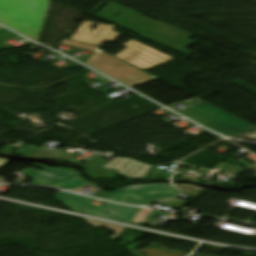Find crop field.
<instances>
[{
    "label": "crop field",
    "mask_w": 256,
    "mask_h": 256,
    "mask_svg": "<svg viewBox=\"0 0 256 256\" xmlns=\"http://www.w3.org/2000/svg\"><path fill=\"white\" fill-rule=\"evenodd\" d=\"M49 0H0V23L38 41Z\"/></svg>",
    "instance_id": "1"
},
{
    "label": "crop field",
    "mask_w": 256,
    "mask_h": 256,
    "mask_svg": "<svg viewBox=\"0 0 256 256\" xmlns=\"http://www.w3.org/2000/svg\"><path fill=\"white\" fill-rule=\"evenodd\" d=\"M61 43L94 52L85 62L87 65L130 87L159 80L146 72L98 50L100 48L99 46L66 39H62Z\"/></svg>",
    "instance_id": "2"
},
{
    "label": "crop field",
    "mask_w": 256,
    "mask_h": 256,
    "mask_svg": "<svg viewBox=\"0 0 256 256\" xmlns=\"http://www.w3.org/2000/svg\"><path fill=\"white\" fill-rule=\"evenodd\" d=\"M177 112L227 137L256 130V127L208 103Z\"/></svg>",
    "instance_id": "3"
},
{
    "label": "crop field",
    "mask_w": 256,
    "mask_h": 256,
    "mask_svg": "<svg viewBox=\"0 0 256 256\" xmlns=\"http://www.w3.org/2000/svg\"><path fill=\"white\" fill-rule=\"evenodd\" d=\"M179 195V191L167 183L132 185L110 195L108 199L127 204L144 205Z\"/></svg>",
    "instance_id": "4"
},
{
    "label": "crop field",
    "mask_w": 256,
    "mask_h": 256,
    "mask_svg": "<svg viewBox=\"0 0 256 256\" xmlns=\"http://www.w3.org/2000/svg\"><path fill=\"white\" fill-rule=\"evenodd\" d=\"M122 46H125L127 48L114 56L140 69H146L161 65L174 59L158 50L141 44L133 39L124 43Z\"/></svg>",
    "instance_id": "5"
},
{
    "label": "crop field",
    "mask_w": 256,
    "mask_h": 256,
    "mask_svg": "<svg viewBox=\"0 0 256 256\" xmlns=\"http://www.w3.org/2000/svg\"><path fill=\"white\" fill-rule=\"evenodd\" d=\"M35 166L43 169L42 171L34 168H27L21 173L27 174L28 178L33 179L29 184H42L57 187L65 182L80 177V174L71 168H51L38 163Z\"/></svg>",
    "instance_id": "6"
},
{
    "label": "crop field",
    "mask_w": 256,
    "mask_h": 256,
    "mask_svg": "<svg viewBox=\"0 0 256 256\" xmlns=\"http://www.w3.org/2000/svg\"><path fill=\"white\" fill-rule=\"evenodd\" d=\"M97 23L84 21L71 39L102 46L105 41L115 42L120 33L114 30L115 26L98 24L96 29L90 32V28Z\"/></svg>",
    "instance_id": "7"
},
{
    "label": "crop field",
    "mask_w": 256,
    "mask_h": 256,
    "mask_svg": "<svg viewBox=\"0 0 256 256\" xmlns=\"http://www.w3.org/2000/svg\"><path fill=\"white\" fill-rule=\"evenodd\" d=\"M55 198L58 201H60L62 204H64L66 207H68L70 210H72L73 212L86 213V214L122 222L105 213L104 207L90 204L93 201V199H89V198H85V197H81L73 194L63 193V192L58 193L55 196Z\"/></svg>",
    "instance_id": "8"
},
{
    "label": "crop field",
    "mask_w": 256,
    "mask_h": 256,
    "mask_svg": "<svg viewBox=\"0 0 256 256\" xmlns=\"http://www.w3.org/2000/svg\"><path fill=\"white\" fill-rule=\"evenodd\" d=\"M151 165L143 164L129 158L114 157L103 168L117 169V174H123L131 180L143 179L151 169Z\"/></svg>",
    "instance_id": "9"
},
{
    "label": "crop field",
    "mask_w": 256,
    "mask_h": 256,
    "mask_svg": "<svg viewBox=\"0 0 256 256\" xmlns=\"http://www.w3.org/2000/svg\"><path fill=\"white\" fill-rule=\"evenodd\" d=\"M106 207L108 214L124 221L127 224H130L142 210L140 208L125 207L109 203H106Z\"/></svg>",
    "instance_id": "10"
},
{
    "label": "crop field",
    "mask_w": 256,
    "mask_h": 256,
    "mask_svg": "<svg viewBox=\"0 0 256 256\" xmlns=\"http://www.w3.org/2000/svg\"><path fill=\"white\" fill-rule=\"evenodd\" d=\"M85 220L96 228L103 226V227L109 229L111 232H113L114 234L109 237L111 240L117 239L122 234V232L126 229L125 227L107 224V223H103V222H98V221H94V220H89V219H85Z\"/></svg>",
    "instance_id": "11"
},
{
    "label": "crop field",
    "mask_w": 256,
    "mask_h": 256,
    "mask_svg": "<svg viewBox=\"0 0 256 256\" xmlns=\"http://www.w3.org/2000/svg\"><path fill=\"white\" fill-rule=\"evenodd\" d=\"M85 184H88V182H86L82 177H80V178H77L73 181H70V182L60 186L59 188H64V189L71 190L75 187H79V186H82V185H85Z\"/></svg>",
    "instance_id": "12"
},
{
    "label": "crop field",
    "mask_w": 256,
    "mask_h": 256,
    "mask_svg": "<svg viewBox=\"0 0 256 256\" xmlns=\"http://www.w3.org/2000/svg\"><path fill=\"white\" fill-rule=\"evenodd\" d=\"M14 36H17V35L8 31V30H6V29H1L0 30V41L11 38V37H14ZM6 48H8V47H6L3 43L0 42V51L4 50Z\"/></svg>",
    "instance_id": "13"
},
{
    "label": "crop field",
    "mask_w": 256,
    "mask_h": 256,
    "mask_svg": "<svg viewBox=\"0 0 256 256\" xmlns=\"http://www.w3.org/2000/svg\"><path fill=\"white\" fill-rule=\"evenodd\" d=\"M108 195H109V193L103 192V191H101L100 193L93 194V196H99V197H102V196L107 197Z\"/></svg>",
    "instance_id": "14"
},
{
    "label": "crop field",
    "mask_w": 256,
    "mask_h": 256,
    "mask_svg": "<svg viewBox=\"0 0 256 256\" xmlns=\"http://www.w3.org/2000/svg\"><path fill=\"white\" fill-rule=\"evenodd\" d=\"M130 253H132L134 256H145L141 252H139L138 250L131 251Z\"/></svg>",
    "instance_id": "15"
},
{
    "label": "crop field",
    "mask_w": 256,
    "mask_h": 256,
    "mask_svg": "<svg viewBox=\"0 0 256 256\" xmlns=\"http://www.w3.org/2000/svg\"><path fill=\"white\" fill-rule=\"evenodd\" d=\"M192 256H206V255L193 254Z\"/></svg>",
    "instance_id": "16"
},
{
    "label": "crop field",
    "mask_w": 256,
    "mask_h": 256,
    "mask_svg": "<svg viewBox=\"0 0 256 256\" xmlns=\"http://www.w3.org/2000/svg\"><path fill=\"white\" fill-rule=\"evenodd\" d=\"M1 28H3V27L0 26V29H1Z\"/></svg>",
    "instance_id": "17"
}]
</instances>
